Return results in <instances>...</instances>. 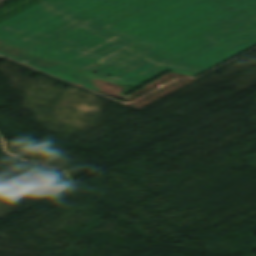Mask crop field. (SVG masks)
<instances>
[{
	"mask_svg": "<svg viewBox=\"0 0 256 256\" xmlns=\"http://www.w3.org/2000/svg\"><path fill=\"white\" fill-rule=\"evenodd\" d=\"M0 40L112 83L196 76L256 45V0H44Z\"/></svg>",
	"mask_w": 256,
	"mask_h": 256,
	"instance_id": "1",
	"label": "crop field"
},
{
	"mask_svg": "<svg viewBox=\"0 0 256 256\" xmlns=\"http://www.w3.org/2000/svg\"><path fill=\"white\" fill-rule=\"evenodd\" d=\"M0 54L6 55L45 72L86 86L88 88L101 91L110 95L120 97L124 92L137 85H117L105 81H100L94 77L79 72L73 68L61 65L28 50L20 48L11 43L0 41Z\"/></svg>",
	"mask_w": 256,
	"mask_h": 256,
	"instance_id": "2",
	"label": "crop field"
}]
</instances>
